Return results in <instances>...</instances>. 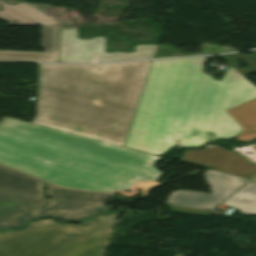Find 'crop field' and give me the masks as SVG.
I'll list each match as a JSON object with an SVG mask.
<instances>
[{
	"label": "crop field",
	"instance_id": "obj_12",
	"mask_svg": "<svg viewBox=\"0 0 256 256\" xmlns=\"http://www.w3.org/2000/svg\"><path fill=\"white\" fill-rule=\"evenodd\" d=\"M0 189L44 198L42 182L0 166Z\"/></svg>",
	"mask_w": 256,
	"mask_h": 256
},
{
	"label": "crop field",
	"instance_id": "obj_16",
	"mask_svg": "<svg viewBox=\"0 0 256 256\" xmlns=\"http://www.w3.org/2000/svg\"><path fill=\"white\" fill-rule=\"evenodd\" d=\"M176 55L175 46L158 45L154 58L158 57H170Z\"/></svg>",
	"mask_w": 256,
	"mask_h": 256
},
{
	"label": "crop field",
	"instance_id": "obj_19",
	"mask_svg": "<svg viewBox=\"0 0 256 256\" xmlns=\"http://www.w3.org/2000/svg\"><path fill=\"white\" fill-rule=\"evenodd\" d=\"M254 180H256V178Z\"/></svg>",
	"mask_w": 256,
	"mask_h": 256
},
{
	"label": "crop field",
	"instance_id": "obj_8",
	"mask_svg": "<svg viewBox=\"0 0 256 256\" xmlns=\"http://www.w3.org/2000/svg\"><path fill=\"white\" fill-rule=\"evenodd\" d=\"M181 162L204 166L249 179L256 174V165L235 152H228L220 147L188 150L184 153Z\"/></svg>",
	"mask_w": 256,
	"mask_h": 256
},
{
	"label": "crop field",
	"instance_id": "obj_7",
	"mask_svg": "<svg viewBox=\"0 0 256 256\" xmlns=\"http://www.w3.org/2000/svg\"><path fill=\"white\" fill-rule=\"evenodd\" d=\"M212 194L179 190L170 193L166 203L213 210L248 179L208 170L203 173Z\"/></svg>",
	"mask_w": 256,
	"mask_h": 256
},
{
	"label": "crop field",
	"instance_id": "obj_4",
	"mask_svg": "<svg viewBox=\"0 0 256 256\" xmlns=\"http://www.w3.org/2000/svg\"><path fill=\"white\" fill-rule=\"evenodd\" d=\"M115 216L79 226L48 219L20 231L0 232V256H106Z\"/></svg>",
	"mask_w": 256,
	"mask_h": 256
},
{
	"label": "crop field",
	"instance_id": "obj_1",
	"mask_svg": "<svg viewBox=\"0 0 256 256\" xmlns=\"http://www.w3.org/2000/svg\"><path fill=\"white\" fill-rule=\"evenodd\" d=\"M208 57L153 61L125 147L161 156L175 140L230 138L244 130L225 110L256 98L228 64L222 81L202 72Z\"/></svg>",
	"mask_w": 256,
	"mask_h": 256
},
{
	"label": "crop field",
	"instance_id": "obj_14",
	"mask_svg": "<svg viewBox=\"0 0 256 256\" xmlns=\"http://www.w3.org/2000/svg\"><path fill=\"white\" fill-rule=\"evenodd\" d=\"M224 205L234 207L242 214L256 215V181H252L227 201Z\"/></svg>",
	"mask_w": 256,
	"mask_h": 256
},
{
	"label": "crop field",
	"instance_id": "obj_6",
	"mask_svg": "<svg viewBox=\"0 0 256 256\" xmlns=\"http://www.w3.org/2000/svg\"><path fill=\"white\" fill-rule=\"evenodd\" d=\"M104 37L77 39V30L61 29L60 62H110L153 58L157 45H137L134 52L104 53Z\"/></svg>",
	"mask_w": 256,
	"mask_h": 256
},
{
	"label": "crop field",
	"instance_id": "obj_18",
	"mask_svg": "<svg viewBox=\"0 0 256 256\" xmlns=\"http://www.w3.org/2000/svg\"><path fill=\"white\" fill-rule=\"evenodd\" d=\"M100 66L94 67L93 70H100Z\"/></svg>",
	"mask_w": 256,
	"mask_h": 256
},
{
	"label": "crop field",
	"instance_id": "obj_9",
	"mask_svg": "<svg viewBox=\"0 0 256 256\" xmlns=\"http://www.w3.org/2000/svg\"><path fill=\"white\" fill-rule=\"evenodd\" d=\"M0 19L13 26L60 24L25 3L8 5L0 1Z\"/></svg>",
	"mask_w": 256,
	"mask_h": 256
},
{
	"label": "crop field",
	"instance_id": "obj_5",
	"mask_svg": "<svg viewBox=\"0 0 256 256\" xmlns=\"http://www.w3.org/2000/svg\"><path fill=\"white\" fill-rule=\"evenodd\" d=\"M97 212L107 211L0 190V228L18 227L30 218L55 216L72 221Z\"/></svg>",
	"mask_w": 256,
	"mask_h": 256
},
{
	"label": "crop field",
	"instance_id": "obj_10",
	"mask_svg": "<svg viewBox=\"0 0 256 256\" xmlns=\"http://www.w3.org/2000/svg\"><path fill=\"white\" fill-rule=\"evenodd\" d=\"M57 37V25L42 26V48H45L44 53L0 51V60L57 62Z\"/></svg>",
	"mask_w": 256,
	"mask_h": 256
},
{
	"label": "crop field",
	"instance_id": "obj_11",
	"mask_svg": "<svg viewBox=\"0 0 256 256\" xmlns=\"http://www.w3.org/2000/svg\"><path fill=\"white\" fill-rule=\"evenodd\" d=\"M46 194L53 200L105 210L108 208L104 201L114 196V194L61 189L49 183H46Z\"/></svg>",
	"mask_w": 256,
	"mask_h": 256
},
{
	"label": "crop field",
	"instance_id": "obj_3",
	"mask_svg": "<svg viewBox=\"0 0 256 256\" xmlns=\"http://www.w3.org/2000/svg\"><path fill=\"white\" fill-rule=\"evenodd\" d=\"M151 62L40 64L32 122L123 146Z\"/></svg>",
	"mask_w": 256,
	"mask_h": 256
},
{
	"label": "crop field",
	"instance_id": "obj_13",
	"mask_svg": "<svg viewBox=\"0 0 256 256\" xmlns=\"http://www.w3.org/2000/svg\"><path fill=\"white\" fill-rule=\"evenodd\" d=\"M227 112L245 129L236 136V140L249 141L256 138V99Z\"/></svg>",
	"mask_w": 256,
	"mask_h": 256
},
{
	"label": "crop field",
	"instance_id": "obj_2",
	"mask_svg": "<svg viewBox=\"0 0 256 256\" xmlns=\"http://www.w3.org/2000/svg\"><path fill=\"white\" fill-rule=\"evenodd\" d=\"M162 157L36 124L0 121V164L55 185L145 197L163 174ZM126 189L133 192H124Z\"/></svg>",
	"mask_w": 256,
	"mask_h": 256
},
{
	"label": "crop field",
	"instance_id": "obj_17",
	"mask_svg": "<svg viewBox=\"0 0 256 256\" xmlns=\"http://www.w3.org/2000/svg\"><path fill=\"white\" fill-rule=\"evenodd\" d=\"M169 208L170 210L175 212H181V213L192 214V215L209 216L211 214V212L209 211L194 210V209L172 207V206H169Z\"/></svg>",
	"mask_w": 256,
	"mask_h": 256
},
{
	"label": "crop field",
	"instance_id": "obj_15",
	"mask_svg": "<svg viewBox=\"0 0 256 256\" xmlns=\"http://www.w3.org/2000/svg\"><path fill=\"white\" fill-rule=\"evenodd\" d=\"M251 55L249 56H243L239 53L231 54V55H221L225 61H227L231 66H233L238 72H240L242 75L254 73L256 72V50L251 51ZM238 59H242L245 63H247L250 67L240 69L238 68V65L240 63L237 62Z\"/></svg>",
	"mask_w": 256,
	"mask_h": 256
}]
</instances>
